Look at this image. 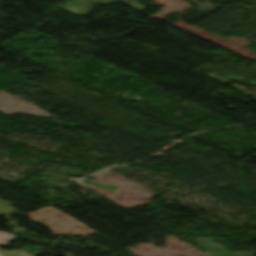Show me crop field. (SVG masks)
Instances as JSON below:
<instances>
[{
  "label": "crop field",
  "instance_id": "1",
  "mask_svg": "<svg viewBox=\"0 0 256 256\" xmlns=\"http://www.w3.org/2000/svg\"><path fill=\"white\" fill-rule=\"evenodd\" d=\"M14 236L8 235L6 233L0 232V240L10 241Z\"/></svg>",
  "mask_w": 256,
  "mask_h": 256
},
{
  "label": "crop field",
  "instance_id": "2",
  "mask_svg": "<svg viewBox=\"0 0 256 256\" xmlns=\"http://www.w3.org/2000/svg\"><path fill=\"white\" fill-rule=\"evenodd\" d=\"M0 243H5V241H0ZM1 256V255H0Z\"/></svg>",
  "mask_w": 256,
  "mask_h": 256
}]
</instances>
